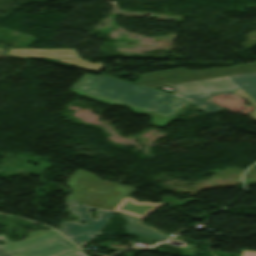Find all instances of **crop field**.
<instances>
[{
	"mask_svg": "<svg viewBox=\"0 0 256 256\" xmlns=\"http://www.w3.org/2000/svg\"><path fill=\"white\" fill-rule=\"evenodd\" d=\"M246 82V84L242 83ZM138 85L101 75H86L73 92L104 103L132 107L133 112L150 114L151 125L164 126L191 103L206 112L223 110L209 97L218 93H237L255 106L249 113L256 118V63L188 72L176 69L140 75ZM161 85L175 88L174 95L155 90Z\"/></svg>",
	"mask_w": 256,
	"mask_h": 256,
	"instance_id": "8a807250",
	"label": "crop field"
},
{
	"mask_svg": "<svg viewBox=\"0 0 256 256\" xmlns=\"http://www.w3.org/2000/svg\"><path fill=\"white\" fill-rule=\"evenodd\" d=\"M67 186L73 190V193L66 199L69 212L73 216L78 214L80 219L76 222L61 223L63 227L61 231L79 246L103 230L108 219L114 213L122 215L128 222L125 225L126 234L154 240L170 237L151 227L141 225V220L144 217L164 203H136L133 199L128 198L135 188L101 181L95 175L83 170H77L69 178ZM77 201L81 205H77ZM92 208L98 209L99 220L90 218L88 210ZM81 220L86 223L79 224Z\"/></svg>",
	"mask_w": 256,
	"mask_h": 256,
	"instance_id": "ac0d7876",
	"label": "crop field"
},
{
	"mask_svg": "<svg viewBox=\"0 0 256 256\" xmlns=\"http://www.w3.org/2000/svg\"><path fill=\"white\" fill-rule=\"evenodd\" d=\"M4 245L0 246V256H86L55 231H35L26 240L9 242L5 235H0ZM54 243L48 244V241Z\"/></svg>",
	"mask_w": 256,
	"mask_h": 256,
	"instance_id": "34b2d1b8",
	"label": "crop field"
},
{
	"mask_svg": "<svg viewBox=\"0 0 256 256\" xmlns=\"http://www.w3.org/2000/svg\"><path fill=\"white\" fill-rule=\"evenodd\" d=\"M6 55L12 58H79L75 49H12Z\"/></svg>",
	"mask_w": 256,
	"mask_h": 256,
	"instance_id": "412701ff",
	"label": "crop field"
},
{
	"mask_svg": "<svg viewBox=\"0 0 256 256\" xmlns=\"http://www.w3.org/2000/svg\"><path fill=\"white\" fill-rule=\"evenodd\" d=\"M54 60H57V59H54ZM59 61H63V62H66V63L77 65V66H80L82 68H85V69H88V70H91V71L103 68L102 63L91 64L90 62H88L86 60H82V59L59 60Z\"/></svg>",
	"mask_w": 256,
	"mask_h": 256,
	"instance_id": "f4fd0767",
	"label": "crop field"
},
{
	"mask_svg": "<svg viewBox=\"0 0 256 256\" xmlns=\"http://www.w3.org/2000/svg\"><path fill=\"white\" fill-rule=\"evenodd\" d=\"M182 252L184 256H195L193 251L194 249H196L195 245H187L185 244L182 248Z\"/></svg>",
	"mask_w": 256,
	"mask_h": 256,
	"instance_id": "dd49c442",
	"label": "crop field"
},
{
	"mask_svg": "<svg viewBox=\"0 0 256 256\" xmlns=\"http://www.w3.org/2000/svg\"><path fill=\"white\" fill-rule=\"evenodd\" d=\"M236 252H242L241 256H256V252H250V251H236Z\"/></svg>",
	"mask_w": 256,
	"mask_h": 256,
	"instance_id": "e52e79f7",
	"label": "crop field"
},
{
	"mask_svg": "<svg viewBox=\"0 0 256 256\" xmlns=\"http://www.w3.org/2000/svg\"><path fill=\"white\" fill-rule=\"evenodd\" d=\"M173 239L180 240V237H175V238H173ZM180 241H181V240H180Z\"/></svg>",
	"mask_w": 256,
	"mask_h": 256,
	"instance_id": "d8731c3e",
	"label": "crop field"
},
{
	"mask_svg": "<svg viewBox=\"0 0 256 256\" xmlns=\"http://www.w3.org/2000/svg\"><path fill=\"white\" fill-rule=\"evenodd\" d=\"M0 51H2V49L0 48Z\"/></svg>",
	"mask_w": 256,
	"mask_h": 256,
	"instance_id": "5a996713",
	"label": "crop field"
}]
</instances>
